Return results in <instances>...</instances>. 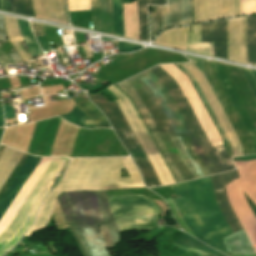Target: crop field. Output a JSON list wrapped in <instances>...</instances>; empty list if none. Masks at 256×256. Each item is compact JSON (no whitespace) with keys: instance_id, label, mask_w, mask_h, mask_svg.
Returning a JSON list of instances; mask_svg holds the SVG:
<instances>
[{"instance_id":"27","label":"crop field","mask_w":256,"mask_h":256,"mask_svg":"<svg viewBox=\"0 0 256 256\" xmlns=\"http://www.w3.org/2000/svg\"><path fill=\"white\" fill-rule=\"evenodd\" d=\"M146 4L166 5V0H137L140 40L149 41Z\"/></svg>"},{"instance_id":"29","label":"crop field","mask_w":256,"mask_h":256,"mask_svg":"<svg viewBox=\"0 0 256 256\" xmlns=\"http://www.w3.org/2000/svg\"><path fill=\"white\" fill-rule=\"evenodd\" d=\"M78 107L87 114L91 121L98 127H110L105 117L89 101L78 105Z\"/></svg>"},{"instance_id":"23","label":"crop field","mask_w":256,"mask_h":256,"mask_svg":"<svg viewBox=\"0 0 256 256\" xmlns=\"http://www.w3.org/2000/svg\"><path fill=\"white\" fill-rule=\"evenodd\" d=\"M159 214L136 216V217H124L115 219L119 228L122 231L126 230H145L158 227L156 225V218Z\"/></svg>"},{"instance_id":"24","label":"crop field","mask_w":256,"mask_h":256,"mask_svg":"<svg viewBox=\"0 0 256 256\" xmlns=\"http://www.w3.org/2000/svg\"><path fill=\"white\" fill-rule=\"evenodd\" d=\"M172 245L184 251L193 250L202 256H224L216 252L215 250L209 248L208 246L198 242L197 240L190 237L184 232L180 235V237L174 243H172Z\"/></svg>"},{"instance_id":"28","label":"crop field","mask_w":256,"mask_h":256,"mask_svg":"<svg viewBox=\"0 0 256 256\" xmlns=\"http://www.w3.org/2000/svg\"><path fill=\"white\" fill-rule=\"evenodd\" d=\"M5 3L10 13L36 18L32 0H5Z\"/></svg>"},{"instance_id":"17","label":"crop field","mask_w":256,"mask_h":256,"mask_svg":"<svg viewBox=\"0 0 256 256\" xmlns=\"http://www.w3.org/2000/svg\"><path fill=\"white\" fill-rule=\"evenodd\" d=\"M204 61H206V60H204ZM206 62L215 69V71H216L219 79L221 80L226 92L228 93L232 103L234 104L242 122L244 123L250 137L252 138L253 145H254L255 152H256V129L253 126L249 116L247 115L243 105L241 104V102H240L236 92L234 91L229 79L227 78L223 68L221 67V65H219L216 62H212V61H206Z\"/></svg>"},{"instance_id":"20","label":"crop field","mask_w":256,"mask_h":256,"mask_svg":"<svg viewBox=\"0 0 256 256\" xmlns=\"http://www.w3.org/2000/svg\"><path fill=\"white\" fill-rule=\"evenodd\" d=\"M94 30L114 35L111 0H91Z\"/></svg>"},{"instance_id":"18","label":"crop field","mask_w":256,"mask_h":256,"mask_svg":"<svg viewBox=\"0 0 256 256\" xmlns=\"http://www.w3.org/2000/svg\"><path fill=\"white\" fill-rule=\"evenodd\" d=\"M203 42H213L214 56L226 59L225 20L200 24Z\"/></svg>"},{"instance_id":"5","label":"crop field","mask_w":256,"mask_h":256,"mask_svg":"<svg viewBox=\"0 0 256 256\" xmlns=\"http://www.w3.org/2000/svg\"><path fill=\"white\" fill-rule=\"evenodd\" d=\"M120 88L133 98L177 182L197 179L198 176L194 168L152 91L138 79H135Z\"/></svg>"},{"instance_id":"40","label":"crop field","mask_w":256,"mask_h":256,"mask_svg":"<svg viewBox=\"0 0 256 256\" xmlns=\"http://www.w3.org/2000/svg\"><path fill=\"white\" fill-rule=\"evenodd\" d=\"M5 28H4V20L3 17L0 16V41H5Z\"/></svg>"},{"instance_id":"19","label":"crop field","mask_w":256,"mask_h":256,"mask_svg":"<svg viewBox=\"0 0 256 256\" xmlns=\"http://www.w3.org/2000/svg\"><path fill=\"white\" fill-rule=\"evenodd\" d=\"M227 74V76L229 77L234 89L236 90L240 100L242 101L243 104H246L251 115L253 116L255 122H256V102L254 101L248 87L246 86L242 76L240 75L237 67L234 66H229V65H224L221 64ZM221 66V67H222ZM246 105H244L247 113L249 114L253 124L256 127V124L252 118V116L250 115Z\"/></svg>"},{"instance_id":"49","label":"crop field","mask_w":256,"mask_h":256,"mask_svg":"<svg viewBox=\"0 0 256 256\" xmlns=\"http://www.w3.org/2000/svg\"><path fill=\"white\" fill-rule=\"evenodd\" d=\"M255 72V74H256V71H254Z\"/></svg>"},{"instance_id":"44","label":"crop field","mask_w":256,"mask_h":256,"mask_svg":"<svg viewBox=\"0 0 256 256\" xmlns=\"http://www.w3.org/2000/svg\"><path fill=\"white\" fill-rule=\"evenodd\" d=\"M0 126H4L2 106H0Z\"/></svg>"},{"instance_id":"37","label":"crop field","mask_w":256,"mask_h":256,"mask_svg":"<svg viewBox=\"0 0 256 256\" xmlns=\"http://www.w3.org/2000/svg\"><path fill=\"white\" fill-rule=\"evenodd\" d=\"M100 232L103 236V239L105 241L107 249L111 248L113 246V244H112L110 233H109L108 229L106 228V226H101Z\"/></svg>"},{"instance_id":"22","label":"crop field","mask_w":256,"mask_h":256,"mask_svg":"<svg viewBox=\"0 0 256 256\" xmlns=\"http://www.w3.org/2000/svg\"><path fill=\"white\" fill-rule=\"evenodd\" d=\"M230 256L256 255L244 230L223 238Z\"/></svg>"},{"instance_id":"6","label":"crop field","mask_w":256,"mask_h":256,"mask_svg":"<svg viewBox=\"0 0 256 256\" xmlns=\"http://www.w3.org/2000/svg\"><path fill=\"white\" fill-rule=\"evenodd\" d=\"M150 73L152 72L148 70L137 75V77L140 79ZM140 80L153 91L199 178L207 175H213L214 172L211 166L209 165L167 86L153 73Z\"/></svg>"},{"instance_id":"32","label":"crop field","mask_w":256,"mask_h":256,"mask_svg":"<svg viewBox=\"0 0 256 256\" xmlns=\"http://www.w3.org/2000/svg\"><path fill=\"white\" fill-rule=\"evenodd\" d=\"M120 1L121 0H113V9H114L116 35L123 36L122 5Z\"/></svg>"},{"instance_id":"25","label":"crop field","mask_w":256,"mask_h":256,"mask_svg":"<svg viewBox=\"0 0 256 256\" xmlns=\"http://www.w3.org/2000/svg\"><path fill=\"white\" fill-rule=\"evenodd\" d=\"M153 43L185 50V27L165 31Z\"/></svg>"},{"instance_id":"46","label":"crop field","mask_w":256,"mask_h":256,"mask_svg":"<svg viewBox=\"0 0 256 256\" xmlns=\"http://www.w3.org/2000/svg\"><path fill=\"white\" fill-rule=\"evenodd\" d=\"M0 10L5 11V9H4V4H3V0H0Z\"/></svg>"},{"instance_id":"10","label":"crop field","mask_w":256,"mask_h":256,"mask_svg":"<svg viewBox=\"0 0 256 256\" xmlns=\"http://www.w3.org/2000/svg\"><path fill=\"white\" fill-rule=\"evenodd\" d=\"M151 14L152 38L161 30L193 23L191 0H168V7H155Z\"/></svg>"},{"instance_id":"45","label":"crop field","mask_w":256,"mask_h":256,"mask_svg":"<svg viewBox=\"0 0 256 256\" xmlns=\"http://www.w3.org/2000/svg\"><path fill=\"white\" fill-rule=\"evenodd\" d=\"M255 158H256V155L249 156V157L236 158V159H232V160H249V159H255Z\"/></svg>"},{"instance_id":"30","label":"crop field","mask_w":256,"mask_h":256,"mask_svg":"<svg viewBox=\"0 0 256 256\" xmlns=\"http://www.w3.org/2000/svg\"><path fill=\"white\" fill-rule=\"evenodd\" d=\"M64 119L84 128H95L90 119L76 106L69 114L61 115Z\"/></svg>"},{"instance_id":"1","label":"crop field","mask_w":256,"mask_h":256,"mask_svg":"<svg viewBox=\"0 0 256 256\" xmlns=\"http://www.w3.org/2000/svg\"><path fill=\"white\" fill-rule=\"evenodd\" d=\"M107 89L113 93L119 100L115 101L138 143L146 153L162 185L175 183L170 171L168 170L163 158L161 157L156 145L150 134L146 131L130 99L123 94L117 87L110 84ZM97 105H99L117 135L130 153L135 164L140 169L144 184L148 187L161 185L139 144L134 138L124 118L122 117L115 102L110 103L104 97L97 94L96 96L88 95Z\"/></svg>"},{"instance_id":"3","label":"crop field","mask_w":256,"mask_h":256,"mask_svg":"<svg viewBox=\"0 0 256 256\" xmlns=\"http://www.w3.org/2000/svg\"><path fill=\"white\" fill-rule=\"evenodd\" d=\"M187 184L196 215L212 244L215 249L227 254L220 238L232 234V231L225 222L215 201L211 178L189 181ZM187 184L184 182L170 186L174 194L179 197L175 199L177 207L197 238L214 248L195 215Z\"/></svg>"},{"instance_id":"31","label":"crop field","mask_w":256,"mask_h":256,"mask_svg":"<svg viewBox=\"0 0 256 256\" xmlns=\"http://www.w3.org/2000/svg\"><path fill=\"white\" fill-rule=\"evenodd\" d=\"M96 196H97V200L101 208V211L105 217V223L119 230L117 224L115 223L112 217L111 211L108 207L105 191L96 192Z\"/></svg>"},{"instance_id":"2","label":"crop field","mask_w":256,"mask_h":256,"mask_svg":"<svg viewBox=\"0 0 256 256\" xmlns=\"http://www.w3.org/2000/svg\"><path fill=\"white\" fill-rule=\"evenodd\" d=\"M119 168H126L131 178H119ZM145 188L140 174L129 158L71 159L60 184L45 198L31 233L45 228L56 197L63 191Z\"/></svg>"},{"instance_id":"42","label":"crop field","mask_w":256,"mask_h":256,"mask_svg":"<svg viewBox=\"0 0 256 256\" xmlns=\"http://www.w3.org/2000/svg\"><path fill=\"white\" fill-rule=\"evenodd\" d=\"M8 57L13 61V62H18L21 61L20 58L18 57V55L16 54V52L8 55Z\"/></svg>"},{"instance_id":"9","label":"crop field","mask_w":256,"mask_h":256,"mask_svg":"<svg viewBox=\"0 0 256 256\" xmlns=\"http://www.w3.org/2000/svg\"><path fill=\"white\" fill-rule=\"evenodd\" d=\"M228 59L248 64V17L227 20ZM249 64L256 65V16L249 17Z\"/></svg>"},{"instance_id":"34","label":"crop field","mask_w":256,"mask_h":256,"mask_svg":"<svg viewBox=\"0 0 256 256\" xmlns=\"http://www.w3.org/2000/svg\"><path fill=\"white\" fill-rule=\"evenodd\" d=\"M165 200L168 202L169 207H170V209L172 211V214H173L174 218L177 220V222H178L179 226L182 228V230L187 232V233H189V234H191L192 236H194V234L191 232V230L187 227L185 221L182 219L179 211L177 210V207H176L173 199L171 197H169V198H167Z\"/></svg>"},{"instance_id":"36","label":"crop field","mask_w":256,"mask_h":256,"mask_svg":"<svg viewBox=\"0 0 256 256\" xmlns=\"http://www.w3.org/2000/svg\"><path fill=\"white\" fill-rule=\"evenodd\" d=\"M117 44H118L119 52H130V51H134V50L143 48L142 46L125 43V42H117Z\"/></svg>"},{"instance_id":"33","label":"crop field","mask_w":256,"mask_h":256,"mask_svg":"<svg viewBox=\"0 0 256 256\" xmlns=\"http://www.w3.org/2000/svg\"><path fill=\"white\" fill-rule=\"evenodd\" d=\"M240 73L242 74L245 82L247 83L252 95L254 96L256 100V76L253 72V70L250 69H244V68H239Z\"/></svg>"},{"instance_id":"21","label":"crop field","mask_w":256,"mask_h":256,"mask_svg":"<svg viewBox=\"0 0 256 256\" xmlns=\"http://www.w3.org/2000/svg\"><path fill=\"white\" fill-rule=\"evenodd\" d=\"M33 2L37 18L67 24L62 0H33Z\"/></svg>"},{"instance_id":"35","label":"crop field","mask_w":256,"mask_h":256,"mask_svg":"<svg viewBox=\"0 0 256 256\" xmlns=\"http://www.w3.org/2000/svg\"><path fill=\"white\" fill-rule=\"evenodd\" d=\"M242 15L256 13V0H241Z\"/></svg>"},{"instance_id":"43","label":"crop field","mask_w":256,"mask_h":256,"mask_svg":"<svg viewBox=\"0 0 256 256\" xmlns=\"http://www.w3.org/2000/svg\"><path fill=\"white\" fill-rule=\"evenodd\" d=\"M245 195H246V194H245ZM246 198H247V201H248V203H249V205H250V208L252 209L253 213H254L255 216H256V205L247 197V195H246Z\"/></svg>"},{"instance_id":"14","label":"crop field","mask_w":256,"mask_h":256,"mask_svg":"<svg viewBox=\"0 0 256 256\" xmlns=\"http://www.w3.org/2000/svg\"><path fill=\"white\" fill-rule=\"evenodd\" d=\"M212 182L215 190V196H216V201L218 203V206L230 226L231 230L233 233L242 230V226L237 219L226 195V189L225 186L229 184L231 181L234 179L239 178L238 171H232L216 176H212Z\"/></svg>"},{"instance_id":"12","label":"crop field","mask_w":256,"mask_h":256,"mask_svg":"<svg viewBox=\"0 0 256 256\" xmlns=\"http://www.w3.org/2000/svg\"><path fill=\"white\" fill-rule=\"evenodd\" d=\"M195 23L241 15L240 0H194Z\"/></svg>"},{"instance_id":"11","label":"crop field","mask_w":256,"mask_h":256,"mask_svg":"<svg viewBox=\"0 0 256 256\" xmlns=\"http://www.w3.org/2000/svg\"><path fill=\"white\" fill-rule=\"evenodd\" d=\"M113 217L159 213V208L141 195L107 197Z\"/></svg>"},{"instance_id":"4","label":"crop field","mask_w":256,"mask_h":256,"mask_svg":"<svg viewBox=\"0 0 256 256\" xmlns=\"http://www.w3.org/2000/svg\"><path fill=\"white\" fill-rule=\"evenodd\" d=\"M191 59L194 60L198 64V65H195V67H197L199 70H201L204 73L207 81L209 82L211 88L213 89V91H214L216 97L218 98L221 106L223 107L226 115L228 116L230 122L232 123L235 131L237 132V134L242 142L244 154L247 155V154L255 153L253 145H252V141H251L252 138L250 139L244 125L242 124L237 112L235 111V109H234L229 97L227 96L222 84L220 83L214 69L212 67H210L203 60L196 59V58H191ZM176 65L179 66L185 73H187L191 77L200 96L202 97L205 105L207 106L210 114L212 115L215 123L217 124L221 134L223 135V137L227 143L230 157L244 155L242 146H241V142H240L236 132L234 131L232 125L230 124L227 116L225 115L222 107L220 106L217 98L215 97L213 91L211 90L208 82L206 81L203 73L201 71H199L197 68H195L194 66H183L186 70H188L194 76L197 84L199 85L203 95L205 96L208 104L210 105L213 113L215 114L218 122L220 123L224 133L226 134V136L231 144L233 156H232L230 144H229L225 134L223 133L219 123L217 122L214 114L212 113L209 105L207 104L204 96L202 95L198 85L196 84L193 76L188 71H186L180 64H176Z\"/></svg>"},{"instance_id":"41","label":"crop field","mask_w":256,"mask_h":256,"mask_svg":"<svg viewBox=\"0 0 256 256\" xmlns=\"http://www.w3.org/2000/svg\"><path fill=\"white\" fill-rule=\"evenodd\" d=\"M7 63H12L5 55L4 53L0 50V65L2 64H7Z\"/></svg>"},{"instance_id":"38","label":"crop field","mask_w":256,"mask_h":256,"mask_svg":"<svg viewBox=\"0 0 256 256\" xmlns=\"http://www.w3.org/2000/svg\"><path fill=\"white\" fill-rule=\"evenodd\" d=\"M111 233L112 239H113V243L114 245L120 242V232L117 230H114L110 227H107Z\"/></svg>"},{"instance_id":"47","label":"crop field","mask_w":256,"mask_h":256,"mask_svg":"<svg viewBox=\"0 0 256 256\" xmlns=\"http://www.w3.org/2000/svg\"><path fill=\"white\" fill-rule=\"evenodd\" d=\"M3 149H4V146L0 145V153L2 152Z\"/></svg>"},{"instance_id":"48","label":"crop field","mask_w":256,"mask_h":256,"mask_svg":"<svg viewBox=\"0 0 256 256\" xmlns=\"http://www.w3.org/2000/svg\"><path fill=\"white\" fill-rule=\"evenodd\" d=\"M101 40H103V41H113V40H108V39H104V38H101Z\"/></svg>"},{"instance_id":"39","label":"crop field","mask_w":256,"mask_h":256,"mask_svg":"<svg viewBox=\"0 0 256 256\" xmlns=\"http://www.w3.org/2000/svg\"><path fill=\"white\" fill-rule=\"evenodd\" d=\"M4 107V114H5V119H10V118H15L14 117V110L12 107L3 105Z\"/></svg>"},{"instance_id":"16","label":"crop field","mask_w":256,"mask_h":256,"mask_svg":"<svg viewBox=\"0 0 256 256\" xmlns=\"http://www.w3.org/2000/svg\"><path fill=\"white\" fill-rule=\"evenodd\" d=\"M22 155H23L22 152L6 147V149L4 150L3 154L0 157V187L5 182L9 174L12 172L14 167L17 166ZM27 157H28V154L24 153L18 166L15 167V169L10 174L6 182L1 187L0 198L4 194L5 190L7 189V187L9 186V184L11 183V181L13 180V178L15 177V175L17 174V172L19 171V169L21 168L22 164L24 163Z\"/></svg>"},{"instance_id":"15","label":"crop field","mask_w":256,"mask_h":256,"mask_svg":"<svg viewBox=\"0 0 256 256\" xmlns=\"http://www.w3.org/2000/svg\"><path fill=\"white\" fill-rule=\"evenodd\" d=\"M41 158L39 157H34L29 155L25 163L23 164L22 168L6 190L5 194L0 200V219L24 185V183L27 181L37 164Z\"/></svg>"},{"instance_id":"8","label":"crop field","mask_w":256,"mask_h":256,"mask_svg":"<svg viewBox=\"0 0 256 256\" xmlns=\"http://www.w3.org/2000/svg\"><path fill=\"white\" fill-rule=\"evenodd\" d=\"M77 228L92 256H110L97 225H103L104 218L97 204L94 192L78 191L65 193Z\"/></svg>"},{"instance_id":"13","label":"crop field","mask_w":256,"mask_h":256,"mask_svg":"<svg viewBox=\"0 0 256 256\" xmlns=\"http://www.w3.org/2000/svg\"><path fill=\"white\" fill-rule=\"evenodd\" d=\"M4 20H5L7 37L9 41L12 43V45L14 46V48L17 50L21 58L24 60V62H28L29 59L27 58L25 53L22 51V49L20 48L17 42L26 43L27 48L33 57L42 54L40 48L38 47L33 37L29 23L27 21L6 18V17H4Z\"/></svg>"},{"instance_id":"26","label":"crop field","mask_w":256,"mask_h":256,"mask_svg":"<svg viewBox=\"0 0 256 256\" xmlns=\"http://www.w3.org/2000/svg\"><path fill=\"white\" fill-rule=\"evenodd\" d=\"M59 203H60V206L62 208V211L65 215V218L67 220V223L69 225V228L72 232V235L80 249V252L82 254V256H91L85 243L83 242L77 228H76V225L74 223V220H73V216L71 214V211H70V208L68 206V203H67V200L65 198V195L64 193L61 195V197L58 199Z\"/></svg>"},{"instance_id":"7","label":"crop field","mask_w":256,"mask_h":256,"mask_svg":"<svg viewBox=\"0 0 256 256\" xmlns=\"http://www.w3.org/2000/svg\"><path fill=\"white\" fill-rule=\"evenodd\" d=\"M150 70L153 71L168 86L171 94L173 95L180 110L186 118L193 134H195L196 138L198 139L215 174L222 171L235 169L227 152L223 148V145H212L209 137L207 136L177 81L162 65H158Z\"/></svg>"}]
</instances>
